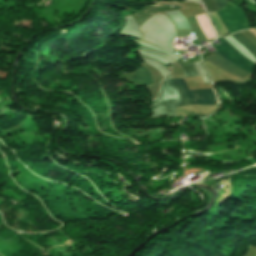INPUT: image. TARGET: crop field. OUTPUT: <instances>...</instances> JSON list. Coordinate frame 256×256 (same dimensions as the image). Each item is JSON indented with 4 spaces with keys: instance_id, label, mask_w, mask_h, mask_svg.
<instances>
[{
    "instance_id": "1",
    "label": "crop field",
    "mask_w": 256,
    "mask_h": 256,
    "mask_svg": "<svg viewBox=\"0 0 256 256\" xmlns=\"http://www.w3.org/2000/svg\"><path fill=\"white\" fill-rule=\"evenodd\" d=\"M170 74L163 80L160 89V96L152 105L153 116L175 115L178 105V94L169 81Z\"/></svg>"
},
{
    "instance_id": "2",
    "label": "crop field",
    "mask_w": 256,
    "mask_h": 256,
    "mask_svg": "<svg viewBox=\"0 0 256 256\" xmlns=\"http://www.w3.org/2000/svg\"><path fill=\"white\" fill-rule=\"evenodd\" d=\"M212 45V44H211ZM213 46V45H212ZM214 47V46H213ZM215 48V47H214ZM219 54L226 57L233 63L237 64L238 66L242 67L243 69L247 70L248 72L252 73V67L248 66L247 64L243 63L240 59H238L234 54H232L227 48H225L222 44L215 48ZM214 55L207 58L208 61L213 63L214 65L220 67L221 69L243 79L247 75L248 72L243 70L242 68L238 67L237 65L233 64L229 60L225 59L221 55Z\"/></svg>"
},
{
    "instance_id": "3",
    "label": "crop field",
    "mask_w": 256,
    "mask_h": 256,
    "mask_svg": "<svg viewBox=\"0 0 256 256\" xmlns=\"http://www.w3.org/2000/svg\"><path fill=\"white\" fill-rule=\"evenodd\" d=\"M170 81L174 86H176L179 89L178 94L180 97V101H179L178 107L185 106L186 102L188 105L189 104H206V105H215L216 104L217 96H216L214 89H213V91L215 93L216 99H215V96L211 89L189 91L186 84L183 81V78L177 79L180 87L182 88V90L184 92V95L186 98V102H185L183 92L180 89L179 85L177 84L176 80L172 79ZM217 104H218V99H217Z\"/></svg>"
},
{
    "instance_id": "4",
    "label": "crop field",
    "mask_w": 256,
    "mask_h": 256,
    "mask_svg": "<svg viewBox=\"0 0 256 256\" xmlns=\"http://www.w3.org/2000/svg\"><path fill=\"white\" fill-rule=\"evenodd\" d=\"M217 14L229 34L249 28L246 25L249 22L241 10L217 11Z\"/></svg>"
},
{
    "instance_id": "5",
    "label": "crop field",
    "mask_w": 256,
    "mask_h": 256,
    "mask_svg": "<svg viewBox=\"0 0 256 256\" xmlns=\"http://www.w3.org/2000/svg\"><path fill=\"white\" fill-rule=\"evenodd\" d=\"M171 19L174 21L180 37L193 35L188 21L183 16L171 17Z\"/></svg>"
},
{
    "instance_id": "6",
    "label": "crop field",
    "mask_w": 256,
    "mask_h": 256,
    "mask_svg": "<svg viewBox=\"0 0 256 256\" xmlns=\"http://www.w3.org/2000/svg\"><path fill=\"white\" fill-rule=\"evenodd\" d=\"M132 81L136 84H151L150 72L146 69L139 68L132 77Z\"/></svg>"
},
{
    "instance_id": "7",
    "label": "crop field",
    "mask_w": 256,
    "mask_h": 256,
    "mask_svg": "<svg viewBox=\"0 0 256 256\" xmlns=\"http://www.w3.org/2000/svg\"><path fill=\"white\" fill-rule=\"evenodd\" d=\"M176 61L182 67L185 73V77L200 76L197 70L195 69L193 63L184 66L179 59Z\"/></svg>"
},
{
    "instance_id": "8",
    "label": "crop field",
    "mask_w": 256,
    "mask_h": 256,
    "mask_svg": "<svg viewBox=\"0 0 256 256\" xmlns=\"http://www.w3.org/2000/svg\"><path fill=\"white\" fill-rule=\"evenodd\" d=\"M233 37L238 40L241 45L246 48L255 58H256V48L249 43L247 40H245L244 38H242L240 35L236 34L233 35Z\"/></svg>"
},
{
    "instance_id": "9",
    "label": "crop field",
    "mask_w": 256,
    "mask_h": 256,
    "mask_svg": "<svg viewBox=\"0 0 256 256\" xmlns=\"http://www.w3.org/2000/svg\"><path fill=\"white\" fill-rule=\"evenodd\" d=\"M208 13L213 12V11H217L216 5L214 0H202Z\"/></svg>"
},
{
    "instance_id": "10",
    "label": "crop field",
    "mask_w": 256,
    "mask_h": 256,
    "mask_svg": "<svg viewBox=\"0 0 256 256\" xmlns=\"http://www.w3.org/2000/svg\"><path fill=\"white\" fill-rule=\"evenodd\" d=\"M227 3H228L227 0H216V5H217L218 9H221V8L224 7Z\"/></svg>"
}]
</instances>
